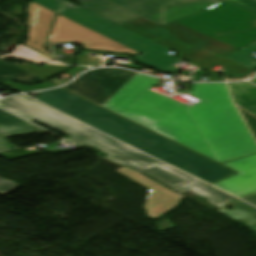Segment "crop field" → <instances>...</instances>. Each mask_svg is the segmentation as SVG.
<instances>
[{
	"label": "crop field",
	"mask_w": 256,
	"mask_h": 256,
	"mask_svg": "<svg viewBox=\"0 0 256 256\" xmlns=\"http://www.w3.org/2000/svg\"><path fill=\"white\" fill-rule=\"evenodd\" d=\"M256 15V2L252 0H225ZM256 42V40H255Z\"/></svg>",
	"instance_id": "21"
},
{
	"label": "crop field",
	"mask_w": 256,
	"mask_h": 256,
	"mask_svg": "<svg viewBox=\"0 0 256 256\" xmlns=\"http://www.w3.org/2000/svg\"><path fill=\"white\" fill-rule=\"evenodd\" d=\"M92 53H97V52L83 51L81 54H79L77 56L78 65H100V64H102L101 59L99 57L90 56ZM116 57L130 58V56H128V55H117ZM121 66L126 67V68L136 69V70H139L140 68L143 67L141 65L134 66L131 58L128 63L121 64Z\"/></svg>",
	"instance_id": "17"
},
{
	"label": "crop field",
	"mask_w": 256,
	"mask_h": 256,
	"mask_svg": "<svg viewBox=\"0 0 256 256\" xmlns=\"http://www.w3.org/2000/svg\"><path fill=\"white\" fill-rule=\"evenodd\" d=\"M203 76H193L194 81H201ZM207 81H224L223 78L207 77Z\"/></svg>",
	"instance_id": "25"
},
{
	"label": "crop field",
	"mask_w": 256,
	"mask_h": 256,
	"mask_svg": "<svg viewBox=\"0 0 256 256\" xmlns=\"http://www.w3.org/2000/svg\"><path fill=\"white\" fill-rule=\"evenodd\" d=\"M0 107L29 121L37 119L48 124L70 135V138L67 140L82 147L89 145L103 153L109 154L106 158L135 170L176 193L181 194L190 190L206 197L212 205L220 207V214L230 219H241L246 222L247 226L256 230V209L126 145L21 96L1 100ZM228 206L234 208L233 211L225 209Z\"/></svg>",
	"instance_id": "2"
},
{
	"label": "crop field",
	"mask_w": 256,
	"mask_h": 256,
	"mask_svg": "<svg viewBox=\"0 0 256 256\" xmlns=\"http://www.w3.org/2000/svg\"><path fill=\"white\" fill-rule=\"evenodd\" d=\"M65 73H67L68 75H70V76H72V77H74L76 74H78V73H76V72H74V71H72V70H69V71H67V72H65Z\"/></svg>",
	"instance_id": "29"
},
{
	"label": "crop field",
	"mask_w": 256,
	"mask_h": 256,
	"mask_svg": "<svg viewBox=\"0 0 256 256\" xmlns=\"http://www.w3.org/2000/svg\"><path fill=\"white\" fill-rule=\"evenodd\" d=\"M256 1V0H255Z\"/></svg>",
	"instance_id": "32"
},
{
	"label": "crop field",
	"mask_w": 256,
	"mask_h": 256,
	"mask_svg": "<svg viewBox=\"0 0 256 256\" xmlns=\"http://www.w3.org/2000/svg\"><path fill=\"white\" fill-rule=\"evenodd\" d=\"M41 128L11 114L0 110V152L16 149L17 147L4 139L15 134H32Z\"/></svg>",
	"instance_id": "12"
},
{
	"label": "crop field",
	"mask_w": 256,
	"mask_h": 256,
	"mask_svg": "<svg viewBox=\"0 0 256 256\" xmlns=\"http://www.w3.org/2000/svg\"><path fill=\"white\" fill-rule=\"evenodd\" d=\"M19 187V184L10 182L6 179L0 178V193L3 195L9 194L15 191Z\"/></svg>",
	"instance_id": "22"
},
{
	"label": "crop field",
	"mask_w": 256,
	"mask_h": 256,
	"mask_svg": "<svg viewBox=\"0 0 256 256\" xmlns=\"http://www.w3.org/2000/svg\"><path fill=\"white\" fill-rule=\"evenodd\" d=\"M240 111L256 136V118L250 116L249 114L245 113L242 110H240Z\"/></svg>",
	"instance_id": "24"
},
{
	"label": "crop field",
	"mask_w": 256,
	"mask_h": 256,
	"mask_svg": "<svg viewBox=\"0 0 256 256\" xmlns=\"http://www.w3.org/2000/svg\"><path fill=\"white\" fill-rule=\"evenodd\" d=\"M69 80H71V79H66V80H64V81H62V82L59 81V80H56V79H52V80H50V81L53 82L54 84L60 86V85H62V84H64V83H66V82L69 81Z\"/></svg>",
	"instance_id": "27"
},
{
	"label": "crop field",
	"mask_w": 256,
	"mask_h": 256,
	"mask_svg": "<svg viewBox=\"0 0 256 256\" xmlns=\"http://www.w3.org/2000/svg\"><path fill=\"white\" fill-rule=\"evenodd\" d=\"M239 172L214 186L242 198L256 191V155L224 164Z\"/></svg>",
	"instance_id": "9"
},
{
	"label": "crop field",
	"mask_w": 256,
	"mask_h": 256,
	"mask_svg": "<svg viewBox=\"0 0 256 256\" xmlns=\"http://www.w3.org/2000/svg\"><path fill=\"white\" fill-rule=\"evenodd\" d=\"M178 22L237 50L256 39V16L225 1Z\"/></svg>",
	"instance_id": "4"
},
{
	"label": "crop field",
	"mask_w": 256,
	"mask_h": 256,
	"mask_svg": "<svg viewBox=\"0 0 256 256\" xmlns=\"http://www.w3.org/2000/svg\"><path fill=\"white\" fill-rule=\"evenodd\" d=\"M62 4H64L65 8L59 13L60 15L142 53L137 56V61L162 71L176 73L179 70V68L173 67V64L180 61V59L166 54L171 50L99 16L75 7L64 0Z\"/></svg>",
	"instance_id": "5"
},
{
	"label": "crop field",
	"mask_w": 256,
	"mask_h": 256,
	"mask_svg": "<svg viewBox=\"0 0 256 256\" xmlns=\"http://www.w3.org/2000/svg\"><path fill=\"white\" fill-rule=\"evenodd\" d=\"M135 74L122 69H100L85 73L64 88L102 106Z\"/></svg>",
	"instance_id": "7"
},
{
	"label": "crop field",
	"mask_w": 256,
	"mask_h": 256,
	"mask_svg": "<svg viewBox=\"0 0 256 256\" xmlns=\"http://www.w3.org/2000/svg\"><path fill=\"white\" fill-rule=\"evenodd\" d=\"M226 80L227 81H238V80H244V78L243 79H228V78H226Z\"/></svg>",
	"instance_id": "30"
},
{
	"label": "crop field",
	"mask_w": 256,
	"mask_h": 256,
	"mask_svg": "<svg viewBox=\"0 0 256 256\" xmlns=\"http://www.w3.org/2000/svg\"><path fill=\"white\" fill-rule=\"evenodd\" d=\"M41 6H44L52 11H58L62 0H31Z\"/></svg>",
	"instance_id": "23"
},
{
	"label": "crop field",
	"mask_w": 256,
	"mask_h": 256,
	"mask_svg": "<svg viewBox=\"0 0 256 256\" xmlns=\"http://www.w3.org/2000/svg\"><path fill=\"white\" fill-rule=\"evenodd\" d=\"M256 51V43H252L245 47L244 50H239L228 58L243 64L252 69L256 68V58L251 56L252 52Z\"/></svg>",
	"instance_id": "18"
},
{
	"label": "crop field",
	"mask_w": 256,
	"mask_h": 256,
	"mask_svg": "<svg viewBox=\"0 0 256 256\" xmlns=\"http://www.w3.org/2000/svg\"><path fill=\"white\" fill-rule=\"evenodd\" d=\"M80 7L118 25L140 18L104 0H77Z\"/></svg>",
	"instance_id": "13"
},
{
	"label": "crop field",
	"mask_w": 256,
	"mask_h": 256,
	"mask_svg": "<svg viewBox=\"0 0 256 256\" xmlns=\"http://www.w3.org/2000/svg\"><path fill=\"white\" fill-rule=\"evenodd\" d=\"M158 81L136 74L103 107L219 163L256 153L226 84H194L189 107L149 90Z\"/></svg>",
	"instance_id": "1"
},
{
	"label": "crop field",
	"mask_w": 256,
	"mask_h": 256,
	"mask_svg": "<svg viewBox=\"0 0 256 256\" xmlns=\"http://www.w3.org/2000/svg\"><path fill=\"white\" fill-rule=\"evenodd\" d=\"M48 42H76L88 49L126 52L133 55L139 54L61 16H58Z\"/></svg>",
	"instance_id": "8"
},
{
	"label": "crop field",
	"mask_w": 256,
	"mask_h": 256,
	"mask_svg": "<svg viewBox=\"0 0 256 256\" xmlns=\"http://www.w3.org/2000/svg\"><path fill=\"white\" fill-rule=\"evenodd\" d=\"M10 55L44 63H58L57 61L52 60L23 45H19L13 52L10 53Z\"/></svg>",
	"instance_id": "19"
},
{
	"label": "crop field",
	"mask_w": 256,
	"mask_h": 256,
	"mask_svg": "<svg viewBox=\"0 0 256 256\" xmlns=\"http://www.w3.org/2000/svg\"><path fill=\"white\" fill-rule=\"evenodd\" d=\"M85 69H89L88 67H76V68H74V69H72V70H74V71H76V72H81V71H83V70H85Z\"/></svg>",
	"instance_id": "28"
},
{
	"label": "crop field",
	"mask_w": 256,
	"mask_h": 256,
	"mask_svg": "<svg viewBox=\"0 0 256 256\" xmlns=\"http://www.w3.org/2000/svg\"><path fill=\"white\" fill-rule=\"evenodd\" d=\"M250 82L256 84V79ZM229 85L237 106L256 116V86L248 82Z\"/></svg>",
	"instance_id": "14"
},
{
	"label": "crop field",
	"mask_w": 256,
	"mask_h": 256,
	"mask_svg": "<svg viewBox=\"0 0 256 256\" xmlns=\"http://www.w3.org/2000/svg\"><path fill=\"white\" fill-rule=\"evenodd\" d=\"M19 92H24V91H31V90H38V89H45V88H49V87H54L55 85L44 81L41 82L39 84H36L34 86H27V85H23V84H18V83H14V82H6L3 83Z\"/></svg>",
	"instance_id": "20"
},
{
	"label": "crop field",
	"mask_w": 256,
	"mask_h": 256,
	"mask_svg": "<svg viewBox=\"0 0 256 256\" xmlns=\"http://www.w3.org/2000/svg\"><path fill=\"white\" fill-rule=\"evenodd\" d=\"M243 199H245V200H247V201L256 205V192L249 195V196L244 197Z\"/></svg>",
	"instance_id": "26"
},
{
	"label": "crop field",
	"mask_w": 256,
	"mask_h": 256,
	"mask_svg": "<svg viewBox=\"0 0 256 256\" xmlns=\"http://www.w3.org/2000/svg\"><path fill=\"white\" fill-rule=\"evenodd\" d=\"M254 75H256V72H254V73L250 74L249 76L245 77V79L250 78V77H252Z\"/></svg>",
	"instance_id": "31"
},
{
	"label": "crop field",
	"mask_w": 256,
	"mask_h": 256,
	"mask_svg": "<svg viewBox=\"0 0 256 256\" xmlns=\"http://www.w3.org/2000/svg\"><path fill=\"white\" fill-rule=\"evenodd\" d=\"M28 11L29 16L26 24L30 25V27L29 40L26 45L54 59V57L44 49V45L56 13L33 2Z\"/></svg>",
	"instance_id": "11"
},
{
	"label": "crop field",
	"mask_w": 256,
	"mask_h": 256,
	"mask_svg": "<svg viewBox=\"0 0 256 256\" xmlns=\"http://www.w3.org/2000/svg\"><path fill=\"white\" fill-rule=\"evenodd\" d=\"M38 94L37 100L209 183L233 173L60 88Z\"/></svg>",
	"instance_id": "3"
},
{
	"label": "crop field",
	"mask_w": 256,
	"mask_h": 256,
	"mask_svg": "<svg viewBox=\"0 0 256 256\" xmlns=\"http://www.w3.org/2000/svg\"><path fill=\"white\" fill-rule=\"evenodd\" d=\"M6 80H14L27 84H36L42 79L10 64L0 58V83Z\"/></svg>",
	"instance_id": "15"
},
{
	"label": "crop field",
	"mask_w": 256,
	"mask_h": 256,
	"mask_svg": "<svg viewBox=\"0 0 256 256\" xmlns=\"http://www.w3.org/2000/svg\"><path fill=\"white\" fill-rule=\"evenodd\" d=\"M118 171L135 180L136 182L144 185L151 191L147 197L146 205L144 207L147 210L149 217L155 219L159 215L178 205L181 197L171 193L170 191L162 188L161 186L151 182L150 180L129 169L123 168Z\"/></svg>",
	"instance_id": "10"
},
{
	"label": "crop field",
	"mask_w": 256,
	"mask_h": 256,
	"mask_svg": "<svg viewBox=\"0 0 256 256\" xmlns=\"http://www.w3.org/2000/svg\"><path fill=\"white\" fill-rule=\"evenodd\" d=\"M161 27L222 0H106Z\"/></svg>",
	"instance_id": "6"
},
{
	"label": "crop field",
	"mask_w": 256,
	"mask_h": 256,
	"mask_svg": "<svg viewBox=\"0 0 256 256\" xmlns=\"http://www.w3.org/2000/svg\"><path fill=\"white\" fill-rule=\"evenodd\" d=\"M31 73H33L34 75L46 80L56 74H58L59 72H62L68 68H70V66H57V65H44L42 67L39 66H34V65H30V64H16L13 63Z\"/></svg>",
	"instance_id": "16"
}]
</instances>
